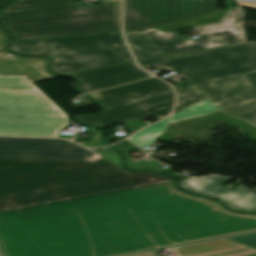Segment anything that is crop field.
Returning a JSON list of instances; mask_svg holds the SVG:
<instances>
[{
  "mask_svg": "<svg viewBox=\"0 0 256 256\" xmlns=\"http://www.w3.org/2000/svg\"><path fill=\"white\" fill-rule=\"evenodd\" d=\"M256 231V215L95 162L0 157L2 256H121Z\"/></svg>",
  "mask_w": 256,
  "mask_h": 256,
  "instance_id": "obj_1",
  "label": "crop field"
},
{
  "mask_svg": "<svg viewBox=\"0 0 256 256\" xmlns=\"http://www.w3.org/2000/svg\"><path fill=\"white\" fill-rule=\"evenodd\" d=\"M5 43L0 29V135L59 137L69 118L32 83L57 77L48 59L7 53Z\"/></svg>",
  "mask_w": 256,
  "mask_h": 256,
  "instance_id": "obj_2",
  "label": "crop field"
},
{
  "mask_svg": "<svg viewBox=\"0 0 256 256\" xmlns=\"http://www.w3.org/2000/svg\"><path fill=\"white\" fill-rule=\"evenodd\" d=\"M75 7V0H18L0 13L14 41L120 31L121 0Z\"/></svg>",
  "mask_w": 256,
  "mask_h": 256,
  "instance_id": "obj_3",
  "label": "crop field"
},
{
  "mask_svg": "<svg viewBox=\"0 0 256 256\" xmlns=\"http://www.w3.org/2000/svg\"><path fill=\"white\" fill-rule=\"evenodd\" d=\"M138 63L142 68L157 66L181 71L189 78L174 86L178 94L176 114L205 100L193 84L256 71V41L174 59L160 55Z\"/></svg>",
  "mask_w": 256,
  "mask_h": 256,
  "instance_id": "obj_4",
  "label": "crop field"
},
{
  "mask_svg": "<svg viewBox=\"0 0 256 256\" xmlns=\"http://www.w3.org/2000/svg\"><path fill=\"white\" fill-rule=\"evenodd\" d=\"M13 51L48 54L68 74L133 60L120 32L14 42Z\"/></svg>",
  "mask_w": 256,
  "mask_h": 256,
  "instance_id": "obj_5",
  "label": "crop field"
},
{
  "mask_svg": "<svg viewBox=\"0 0 256 256\" xmlns=\"http://www.w3.org/2000/svg\"><path fill=\"white\" fill-rule=\"evenodd\" d=\"M90 95L104 104L107 112L102 116H81L79 121L104 127L152 116L166 117L174 101L170 86L156 78Z\"/></svg>",
  "mask_w": 256,
  "mask_h": 256,
  "instance_id": "obj_6",
  "label": "crop field"
},
{
  "mask_svg": "<svg viewBox=\"0 0 256 256\" xmlns=\"http://www.w3.org/2000/svg\"><path fill=\"white\" fill-rule=\"evenodd\" d=\"M207 100L173 116L172 122L217 110L256 125V88L244 75L196 84ZM206 93V94H205Z\"/></svg>",
  "mask_w": 256,
  "mask_h": 256,
  "instance_id": "obj_7",
  "label": "crop field"
},
{
  "mask_svg": "<svg viewBox=\"0 0 256 256\" xmlns=\"http://www.w3.org/2000/svg\"><path fill=\"white\" fill-rule=\"evenodd\" d=\"M217 10V0H124V32L143 30Z\"/></svg>",
  "mask_w": 256,
  "mask_h": 256,
  "instance_id": "obj_8",
  "label": "crop field"
},
{
  "mask_svg": "<svg viewBox=\"0 0 256 256\" xmlns=\"http://www.w3.org/2000/svg\"><path fill=\"white\" fill-rule=\"evenodd\" d=\"M168 58L246 42L242 25L200 33L202 38L181 42L173 32L142 31Z\"/></svg>",
  "mask_w": 256,
  "mask_h": 256,
  "instance_id": "obj_9",
  "label": "crop field"
},
{
  "mask_svg": "<svg viewBox=\"0 0 256 256\" xmlns=\"http://www.w3.org/2000/svg\"><path fill=\"white\" fill-rule=\"evenodd\" d=\"M95 154L72 142L55 139L0 137V156L84 161Z\"/></svg>",
  "mask_w": 256,
  "mask_h": 256,
  "instance_id": "obj_10",
  "label": "crop field"
},
{
  "mask_svg": "<svg viewBox=\"0 0 256 256\" xmlns=\"http://www.w3.org/2000/svg\"><path fill=\"white\" fill-rule=\"evenodd\" d=\"M229 180L216 176L189 177L181 181L180 186L184 190L217 197L234 210L256 211V192L244 186L233 191L221 187Z\"/></svg>",
  "mask_w": 256,
  "mask_h": 256,
  "instance_id": "obj_11",
  "label": "crop field"
},
{
  "mask_svg": "<svg viewBox=\"0 0 256 256\" xmlns=\"http://www.w3.org/2000/svg\"><path fill=\"white\" fill-rule=\"evenodd\" d=\"M72 76L79 78L80 83L77 85V90L84 93L150 77L137 68L134 61Z\"/></svg>",
  "mask_w": 256,
  "mask_h": 256,
  "instance_id": "obj_12",
  "label": "crop field"
},
{
  "mask_svg": "<svg viewBox=\"0 0 256 256\" xmlns=\"http://www.w3.org/2000/svg\"><path fill=\"white\" fill-rule=\"evenodd\" d=\"M179 256H245L256 250L233 241L222 239L176 248ZM134 256H156L154 252Z\"/></svg>",
  "mask_w": 256,
  "mask_h": 256,
  "instance_id": "obj_13",
  "label": "crop field"
},
{
  "mask_svg": "<svg viewBox=\"0 0 256 256\" xmlns=\"http://www.w3.org/2000/svg\"><path fill=\"white\" fill-rule=\"evenodd\" d=\"M124 34L136 59L162 53L141 31Z\"/></svg>",
  "mask_w": 256,
  "mask_h": 256,
  "instance_id": "obj_14",
  "label": "crop field"
},
{
  "mask_svg": "<svg viewBox=\"0 0 256 256\" xmlns=\"http://www.w3.org/2000/svg\"><path fill=\"white\" fill-rule=\"evenodd\" d=\"M228 9L197 16L194 18L169 23L163 26L155 27L163 32H169V31H175L180 30L184 28L199 26V25H205L210 23H216L219 22L221 19V16L227 11Z\"/></svg>",
  "mask_w": 256,
  "mask_h": 256,
  "instance_id": "obj_15",
  "label": "crop field"
},
{
  "mask_svg": "<svg viewBox=\"0 0 256 256\" xmlns=\"http://www.w3.org/2000/svg\"><path fill=\"white\" fill-rule=\"evenodd\" d=\"M170 118L141 130L140 132L131 136L129 139H131L141 148L152 144L154 140L158 137V135L161 133V131L164 129V127L167 125Z\"/></svg>",
  "mask_w": 256,
  "mask_h": 256,
  "instance_id": "obj_16",
  "label": "crop field"
},
{
  "mask_svg": "<svg viewBox=\"0 0 256 256\" xmlns=\"http://www.w3.org/2000/svg\"><path fill=\"white\" fill-rule=\"evenodd\" d=\"M241 19H242V13L239 10L238 6H235V7L230 8L223 15L220 23L194 27L193 29L196 32H199V31H204V30H210V29H215V28H220V27L231 26V25H235V24L239 23L241 21Z\"/></svg>",
  "mask_w": 256,
  "mask_h": 256,
  "instance_id": "obj_17",
  "label": "crop field"
},
{
  "mask_svg": "<svg viewBox=\"0 0 256 256\" xmlns=\"http://www.w3.org/2000/svg\"><path fill=\"white\" fill-rule=\"evenodd\" d=\"M116 148H118L119 150H121L125 156L126 159V163L129 167L131 168H145V167H152L158 171H175L173 169H164L162 167H160L159 163L152 161V162H148V163H134L131 164V161L127 155V153L138 150V148L136 146H134L130 141L128 140H124L116 145H114Z\"/></svg>",
  "mask_w": 256,
  "mask_h": 256,
  "instance_id": "obj_18",
  "label": "crop field"
},
{
  "mask_svg": "<svg viewBox=\"0 0 256 256\" xmlns=\"http://www.w3.org/2000/svg\"><path fill=\"white\" fill-rule=\"evenodd\" d=\"M97 153L104 156L105 159L112 162L116 166H118V167L121 166V163L118 159V155H117L116 151H114L113 149L107 147V148H105V149H103V150H101Z\"/></svg>",
  "mask_w": 256,
  "mask_h": 256,
  "instance_id": "obj_19",
  "label": "crop field"
},
{
  "mask_svg": "<svg viewBox=\"0 0 256 256\" xmlns=\"http://www.w3.org/2000/svg\"><path fill=\"white\" fill-rule=\"evenodd\" d=\"M228 239L256 249V234H250V235L239 236V237L228 238Z\"/></svg>",
  "mask_w": 256,
  "mask_h": 256,
  "instance_id": "obj_20",
  "label": "crop field"
},
{
  "mask_svg": "<svg viewBox=\"0 0 256 256\" xmlns=\"http://www.w3.org/2000/svg\"><path fill=\"white\" fill-rule=\"evenodd\" d=\"M15 1L16 0H0V12L5 10L7 7H9Z\"/></svg>",
  "mask_w": 256,
  "mask_h": 256,
  "instance_id": "obj_21",
  "label": "crop field"
},
{
  "mask_svg": "<svg viewBox=\"0 0 256 256\" xmlns=\"http://www.w3.org/2000/svg\"><path fill=\"white\" fill-rule=\"evenodd\" d=\"M247 75L256 86V72L248 73Z\"/></svg>",
  "mask_w": 256,
  "mask_h": 256,
  "instance_id": "obj_22",
  "label": "crop field"
},
{
  "mask_svg": "<svg viewBox=\"0 0 256 256\" xmlns=\"http://www.w3.org/2000/svg\"><path fill=\"white\" fill-rule=\"evenodd\" d=\"M240 4L246 5V6H251V7H255V8H256V3H248V2H242V1H240Z\"/></svg>",
  "mask_w": 256,
  "mask_h": 256,
  "instance_id": "obj_23",
  "label": "crop field"
},
{
  "mask_svg": "<svg viewBox=\"0 0 256 256\" xmlns=\"http://www.w3.org/2000/svg\"><path fill=\"white\" fill-rule=\"evenodd\" d=\"M253 256H256V255H253Z\"/></svg>",
  "mask_w": 256,
  "mask_h": 256,
  "instance_id": "obj_24",
  "label": "crop field"
},
{
  "mask_svg": "<svg viewBox=\"0 0 256 256\" xmlns=\"http://www.w3.org/2000/svg\"><path fill=\"white\" fill-rule=\"evenodd\" d=\"M175 249V248H174ZM176 251V250H175Z\"/></svg>",
  "mask_w": 256,
  "mask_h": 256,
  "instance_id": "obj_25",
  "label": "crop field"
}]
</instances>
